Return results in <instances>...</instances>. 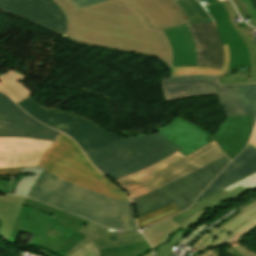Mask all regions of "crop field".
Wrapping results in <instances>:
<instances>
[{
	"mask_svg": "<svg viewBox=\"0 0 256 256\" xmlns=\"http://www.w3.org/2000/svg\"><path fill=\"white\" fill-rule=\"evenodd\" d=\"M54 1L68 18L67 38L81 44L146 54L171 66V47L163 30L149 28L127 0H109L78 9L70 0Z\"/></svg>",
	"mask_w": 256,
	"mask_h": 256,
	"instance_id": "obj_1",
	"label": "crop field"
},
{
	"mask_svg": "<svg viewBox=\"0 0 256 256\" xmlns=\"http://www.w3.org/2000/svg\"><path fill=\"white\" fill-rule=\"evenodd\" d=\"M86 223L88 220L26 198L8 242L14 244L22 231L32 234L27 246L60 256H99L93 244L78 232Z\"/></svg>",
	"mask_w": 256,
	"mask_h": 256,
	"instance_id": "obj_2",
	"label": "crop field"
},
{
	"mask_svg": "<svg viewBox=\"0 0 256 256\" xmlns=\"http://www.w3.org/2000/svg\"><path fill=\"white\" fill-rule=\"evenodd\" d=\"M29 197L108 228L138 230L130 203L117 201L45 171Z\"/></svg>",
	"mask_w": 256,
	"mask_h": 256,
	"instance_id": "obj_3",
	"label": "crop field"
},
{
	"mask_svg": "<svg viewBox=\"0 0 256 256\" xmlns=\"http://www.w3.org/2000/svg\"><path fill=\"white\" fill-rule=\"evenodd\" d=\"M177 149L179 148L155 132L145 136L123 138L86 155L96 168L114 181L171 156Z\"/></svg>",
	"mask_w": 256,
	"mask_h": 256,
	"instance_id": "obj_4",
	"label": "crop field"
},
{
	"mask_svg": "<svg viewBox=\"0 0 256 256\" xmlns=\"http://www.w3.org/2000/svg\"><path fill=\"white\" fill-rule=\"evenodd\" d=\"M162 87L167 102L216 95L226 115H251L253 125L256 121V84L222 85L218 76L193 75L166 77Z\"/></svg>",
	"mask_w": 256,
	"mask_h": 256,
	"instance_id": "obj_5",
	"label": "crop field"
},
{
	"mask_svg": "<svg viewBox=\"0 0 256 256\" xmlns=\"http://www.w3.org/2000/svg\"><path fill=\"white\" fill-rule=\"evenodd\" d=\"M38 165L57 177L75 182L117 200L130 202L124 192L90 163L80 147L62 133L52 143Z\"/></svg>",
	"mask_w": 256,
	"mask_h": 256,
	"instance_id": "obj_6",
	"label": "crop field"
},
{
	"mask_svg": "<svg viewBox=\"0 0 256 256\" xmlns=\"http://www.w3.org/2000/svg\"><path fill=\"white\" fill-rule=\"evenodd\" d=\"M223 155L216 143L212 142L186 157L178 152L149 168L118 179L116 182L128 191L132 199L178 179Z\"/></svg>",
	"mask_w": 256,
	"mask_h": 256,
	"instance_id": "obj_7",
	"label": "crop field"
},
{
	"mask_svg": "<svg viewBox=\"0 0 256 256\" xmlns=\"http://www.w3.org/2000/svg\"><path fill=\"white\" fill-rule=\"evenodd\" d=\"M223 156L208 165L144 196L134 198L138 216L146 214L169 203H174L181 211L190 207L206 186L230 162ZM155 197V199H153Z\"/></svg>",
	"mask_w": 256,
	"mask_h": 256,
	"instance_id": "obj_8",
	"label": "crop field"
},
{
	"mask_svg": "<svg viewBox=\"0 0 256 256\" xmlns=\"http://www.w3.org/2000/svg\"><path fill=\"white\" fill-rule=\"evenodd\" d=\"M18 105L33 118L70 135L85 153L123 138L80 116L62 110L44 108L31 96Z\"/></svg>",
	"mask_w": 256,
	"mask_h": 256,
	"instance_id": "obj_9",
	"label": "crop field"
},
{
	"mask_svg": "<svg viewBox=\"0 0 256 256\" xmlns=\"http://www.w3.org/2000/svg\"><path fill=\"white\" fill-rule=\"evenodd\" d=\"M0 11L64 37L67 33L66 17L53 0H0Z\"/></svg>",
	"mask_w": 256,
	"mask_h": 256,
	"instance_id": "obj_10",
	"label": "crop field"
},
{
	"mask_svg": "<svg viewBox=\"0 0 256 256\" xmlns=\"http://www.w3.org/2000/svg\"><path fill=\"white\" fill-rule=\"evenodd\" d=\"M27 115L0 93V137H25L52 141L59 134Z\"/></svg>",
	"mask_w": 256,
	"mask_h": 256,
	"instance_id": "obj_11",
	"label": "crop field"
},
{
	"mask_svg": "<svg viewBox=\"0 0 256 256\" xmlns=\"http://www.w3.org/2000/svg\"><path fill=\"white\" fill-rule=\"evenodd\" d=\"M195 43L198 66L227 70L229 51L223 45L215 23L187 25Z\"/></svg>",
	"mask_w": 256,
	"mask_h": 256,
	"instance_id": "obj_12",
	"label": "crop field"
},
{
	"mask_svg": "<svg viewBox=\"0 0 256 256\" xmlns=\"http://www.w3.org/2000/svg\"><path fill=\"white\" fill-rule=\"evenodd\" d=\"M51 143L25 138H0V168L37 166Z\"/></svg>",
	"mask_w": 256,
	"mask_h": 256,
	"instance_id": "obj_13",
	"label": "crop field"
},
{
	"mask_svg": "<svg viewBox=\"0 0 256 256\" xmlns=\"http://www.w3.org/2000/svg\"><path fill=\"white\" fill-rule=\"evenodd\" d=\"M206 11L213 17L220 30L224 44L230 50V64L228 68L250 66L248 49L236 33L229 17L219 0H199Z\"/></svg>",
	"mask_w": 256,
	"mask_h": 256,
	"instance_id": "obj_14",
	"label": "crop field"
},
{
	"mask_svg": "<svg viewBox=\"0 0 256 256\" xmlns=\"http://www.w3.org/2000/svg\"><path fill=\"white\" fill-rule=\"evenodd\" d=\"M145 17L150 27L163 29L189 23V20L174 0H130ZM178 11V13H177Z\"/></svg>",
	"mask_w": 256,
	"mask_h": 256,
	"instance_id": "obj_15",
	"label": "crop field"
},
{
	"mask_svg": "<svg viewBox=\"0 0 256 256\" xmlns=\"http://www.w3.org/2000/svg\"><path fill=\"white\" fill-rule=\"evenodd\" d=\"M157 131L185 156L212 141L209 133L178 117Z\"/></svg>",
	"mask_w": 256,
	"mask_h": 256,
	"instance_id": "obj_16",
	"label": "crop field"
},
{
	"mask_svg": "<svg viewBox=\"0 0 256 256\" xmlns=\"http://www.w3.org/2000/svg\"><path fill=\"white\" fill-rule=\"evenodd\" d=\"M251 130L250 116L226 117L220 129L212 134V138L232 160L245 147Z\"/></svg>",
	"mask_w": 256,
	"mask_h": 256,
	"instance_id": "obj_17",
	"label": "crop field"
},
{
	"mask_svg": "<svg viewBox=\"0 0 256 256\" xmlns=\"http://www.w3.org/2000/svg\"><path fill=\"white\" fill-rule=\"evenodd\" d=\"M252 172H256V149L247 145L242 153L220 173V175L201 194L196 202L210 195L219 188L246 175L252 174Z\"/></svg>",
	"mask_w": 256,
	"mask_h": 256,
	"instance_id": "obj_18",
	"label": "crop field"
},
{
	"mask_svg": "<svg viewBox=\"0 0 256 256\" xmlns=\"http://www.w3.org/2000/svg\"><path fill=\"white\" fill-rule=\"evenodd\" d=\"M94 232H91V231ZM84 234L97 249L118 247L145 241L141 233L123 231V233L109 232V229L103 228L89 221L87 225L79 230Z\"/></svg>",
	"mask_w": 256,
	"mask_h": 256,
	"instance_id": "obj_19",
	"label": "crop field"
},
{
	"mask_svg": "<svg viewBox=\"0 0 256 256\" xmlns=\"http://www.w3.org/2000/svg\"><path fill=\"white\" fill-rule=\"evenodd\" d=\"M164 32L172 46V66H197L195 47L187 26L166 29Z\"/></svg>",
	"mask_w": 256,
	"mask_h": 256,
	"instance_id": "obj_20",
	"label": "crop field"
},
{
	"mask_svg": "<svg viewBox=\"0 0 256 256\" xmlns=\"http://www.w3.org/2000/svg\"><path fill=\"white\" fill-rule=\"evenodd\" d=\"M224 8L226 9L231 22L236 28L239 36L242 38L244 43L247 45L250 57H251V67L250 72H239L233 74V69H228L225 76H220L222 83H252L256 82V43H252L249 37L244 33V31L239 27L237 23L234 22L233 18L237 17V13L234 10L230 0L222 1Z\"/></svg>",
	"mask_w": 256,
	"mask_h": 256,
	"instance_id": "obj_21",
	"label": "crop field"
},
{
	"mask_svg": "<svg viewBox=\"0 0 256 256\" xmlns=\"http://www.w3.org/2000/svg\"><path fill=\"white\" fill-rule=\"evenodd\" d=\"M240 212L223 223L222 229L231 232L222 242L238 243L240 239L250 230L256 227V201L239 210Z\"/></svg>",
	"mask_w": 256,
	"mask_h": 256,
	"instance_id": "obj_22",
	"label": "crop field"
},
{
	"mask_svg": "<svg viewBox=\"0 0 256 256\" xmlns=\"http://www.w3.org/2000/svg\"><path fill=\"white\" fill-rule=\"evenodd\" d=\"M204 212L205 210L197 212L188 217L185 220L183 227L172 219L167 218L159 223L154 224V227L143 230V234L150 245L155 249L158 246L168 242L174 232L180 229L184 231L185 229L189 228L188 226L196 221Z\"/></svg>",
	"mask_w": 256,
	"mask_h": 256,
	"instance_id": "obj_23",
	"label": "crop field"
},
{
	"mask_svg": "<svg viewBox=\"0 0 256 256\" xmlns=\"http://www.w3.org/2000/svg\"><path fill=\"white\" fill-rule=\"evenodd\" d=\"M25 198L0 196V236L7 241Z\"/></svg>",
	"mask_w": 256,
	"mask_h": 256,
	"instance_id": "obj_24",
	"label": "crop field"
},
{
	"mask_svg": "<svg viewBox=\"0 0 256 256\" xmlns=\"http://www.w3.org/2000/svg\"><path fill=\"white\" fill-rule=\"evenodd\" d=\"M245 191L247 190L241 186L229 192L220 190L214 193L213 195L205 198L204 200L200 201L199 203L193 205L190 209L186 210L185 212L171 217H174L172 219L175 220L180 225H182L184 220L194 212L213 208L224 201L236 199Z\"/></svg>",
	"mask_w": 256,
	"mask_h": 256,
	"instance_id": "obj_25",
	"label": "crop field"
},
{
	"mask_svg": "<svg viewBox=\"0 0 256 256\" xmlns=\"http://www.w3.org/2000/svg\"><path fill=\"white\" fill-rule=\"evenodd\" d=\"M24 78L11 70L8 71L0 76V91L7 94L16 103L29 97L30 92L20 81Z\"/></svg>",
	"mask_w": 256,
	"mask_h": 256,
	"instance_id": "obj_26",
	"label": "crop field"
},
{
	"mask_svg": "<svg viewBox=\"0 0 256 256\" xmlns=\"http://www.w3.org/2000/svg\"><path fill=\"white\" fill-rule=\"evenodd\" d=\"M229 233L225 232L221 228L214 226L210 230H208L199 240L191 245V248H195L200 250L199 253H202L207 248L219 246L221 241L228 235Z\"/></svg>",
	"mask_w": 256,
	"mask_h": 256,
	"instance_id": "obj_27",
	"label": "crop field"
},
{
	"mask_svg": "<svg viewBox=\"0 0 256 256\" xmlns=\"http://www.w3.org/2000/svg\"><path fill=\"white\" fill-rule=\"evenodd\" d=\"M152 250L147 242L98 250L100 256H141Z\"/></svg>",
	"mask_w": 256,
	"mask_h": 256,
	"instance_id": "obj_28",
	"label": "crop field"
},
{
	"mask_svg": "<svg viewBox=\"0 0 256 256\" xmlns=\"http://www.w3.org/2000/svg\"><path fill=\"white\" fill-rule=\"evenodd\" d=\"M175 1L184 8L191 23L212 21L197 0Z\"/></svg>",
	"mask_w": 256,
	"mask_h": 256,
	"instance_id": "obj_29",
	"label": "crop field"
},
{
	"mask_svg": "<svg viewBox=\"0 0 256 256\" xmlns=\"http://www.w3.org/2000/svg\"><path fill=\"white\" fill-rule=\"evenodd\" d=\"M177 212H180V210L174 204H170L146 215L137 217V223L139 228H144Z\"/></svg>",
	"mask_w": 256,
	"mask_h": 256,
	"instance_id": "obj_30",
	"label": "crop field"
},
{
	"mask_svg": "<svg viewBox=\"0 0 256 256\" xmlns=\"http://www.w3.org/2000/svg\"><path fill=\"white\" fill-rule=\"evenodd\" d=\"M44 169L37 166V167H26V168H21V173L25 172H34L37 173L38 175L36 176H26L23 177L17 184L16 190L14 194L21 195L27 197L36 184L39 176L43 173Z\"/></svg>",
	"mask_w": 256,
	"mask_h": 256,
	"instance_id": "obj_31",
	"label": "crop field"
},
{
	"mask_svg": "<svg viewBox=\"0 0 256 256\" xmlns=\"http://www.w3.org/2000/svg\"><path fill=\"white\" fill-rule=\"evenodd\" d=\"M171 76L206 74L225 75L226 71L204 67H170Z\"/></svg>",
	"mask_w": 256,
	"mask_h": 256,
	"instance_id": "obj_32",
	"label": "crop field"
},
{
	"mask_svg": "<svg viewBox=\"0 0 256 256\" xmlns=\"http://www.w3.org/2000/svg\"><path fill=\"white\" fill-rule=\"evenodd\" d=\"M237 7L241 17L249 19L251 25L256 27V8L251 0H232Z\"/></svg>",
	"mask_w": 256,
	"mask_h": 256,
	"instance_id": "obj_33",
	"label": "crop field"
},
{
	"mask_svg": "<svg viewBox=\"0 0 256 256\" xmlns=\"http://www.w3.org/2000/svg\"><path fill=\"white\" fill-rule=\"evenodd\" d=\"M192 228L185 230L184 232L182 230L174 233V235L171 237L169 243L162 245L155 249V256H171L173 254V251L170 249L176 245L180 240H182V236L190 231Z\"/></svg>",
	"mask_w": 256,
	"mask_h": 256,
	"instance_id": "obj_34",
	"label": "crop field"
},
{
	"mask_svg": "<svg viewBox=\"0 0 256 256\" xmlns=\"http://www.w3.org/2000/svg\"><path fill=\"white\" fill-rule=\"evenodd\" d=\"M243 186L244 188H246L247 190H251V189H254L256 188V173L253 174V175H250V176H247L225 188H223L222 190H226V191H229L237 186Z\"/></svg>",
	"mask_w": 256,
	"mask_h": 256,
	"instance_id": "obj_35",
	"label": "crop field"
},
{
	"mask_svg": "<svg viewBox=\"0 0 256 256\" xmlns=\"http://www.w3.org/2000/svg\"><path fill=\"white\" fill-rule=\"evenodd\" d=\"M197 256H239V255L233 250L232 246H230L222 250L215 249L211 251H206L202 254H198Z\"/></svg>",
	"mask_w": 256,
	"mask_h": 256,
	"instance_id": "obj_36",
	"label": "crop field"
},
{
	"mask_svg": "<svg viewBox=\"0 0 256 256\" xmlns=\"http://www.w3.org/2000/svg\"><path fill=\"white\" fill-rule=\"evenodd\" d=\"M71 1L75 5V7L78 8L86 5L97 4L106 0H71Z\"/></svg>",
	"mask_w": 256,
	"mask_h": 256,
	"instance_id": "obj_37",
	"label": "crop field"
},
{
	"mask_svg": "<svg viewBox=\"0 0 256 256\" xmlns=\"http://www.w3.org/2000/svg\"><path fill=\"white\" fill-rule=\"evenodd\" d=\"M233 248L241 256H256V254L250 252L249 250H247L246 248H244L241 245L233 244Z\"/></svg>",
	"mask_w": 256,
	"mask_h": 256,
	"instance_id": "obj_38",
	"label": "crop field"
},
{
	"mask_svg": "<svg viewBox=\"0 0 256 256\" xmlns=\"http://www.w3.org/2000/svg\"><path fill=\"white\" fill-rule=\"evenodd\" d=\"M20 168L0 169V175H19Z\"/></svg>",
	"mask_w": 256,
	"mask_h": 256,
	"instance_id": "obj_39",
	"label": "crop field"
},
{
	"mask_svg": "<svg viewBox=\"0 0 256 256\" xmlns=\"http://www.w3.org/2000/svg\"><path fill=\"white\" fill-rule=\"evenodd\" d=\"M243 30L246 32V34L250 37L251 41L254 42V34L252 33L253 29H251L249 26L243 28Z\"/></svg>",
	"mask_w": 256,
	"mask_h": 256,
	"instance_id": "obj_40",
	"label": "crop field"
},
{
	"mask_svg": "<svg viewBox=\"0 0 256 256\" xmlns=\"http://www.w3.org/2000/svg\"><path fill=\"white\" fill-rule=\"evenodd\" d=\"M250 145L254 146L256 148V125L252 133L251 140L249 142Z\"/></svg>",
	"mask_w": 256,
	"mask_h": 256,
	"instance_id": "obj_41",
	"label": "crop field"
},
{
	"mask_svg": "<svg viewBox=\"0 0 256 256\" xmlns=\"http://www.w3.org/2000/svg\"><path fill=\"white\" fill-rule=\"evenodd\" d=\"M239 211L227 216L225 219H223L219 224H217V226H219L220 224H222L223 222H225L226 220H228L229 218H231L232 216L236 215Z\"/></svg>",
	"mask_w": 256,
	"mask_h": 256,
	"instance_id": "obj_42",
	"label": "crop field"
},
{
	"mask_svg": "<svg viewBox=\"0 0 256 256\" xmlns=\"http://www.w3.org/2000/svg\"><path fill=\"white\" fill-rule=\"evenodd\" d=\"M34 249L39 250V251H41V252H43V253H45V254H47V255H49V256H54V255H52V254H50V253H48V252H44V251H42V250H40V249H38V248H34Z\"/></svg>",
	"mask_w": 256,
	"mask_h": 256,
	"instance_id": "obj_43",
	"label": "crop field"
},
{
	"mask_svg": "<svg viewBox=\"0 0 256 256\" xmlns=\"http://www.w3.org/2000/svg\"><path fill=\"white\" fill-rule=\"evenodd\" d=\"M144 256H152V251H150L149 253H147L146 255Z\"/></svg>",
	"mask_w": 256,
	"mask_h": 256,
	"instance_id": "obj_44",
	"label": "crop field"
}]
</instances>
